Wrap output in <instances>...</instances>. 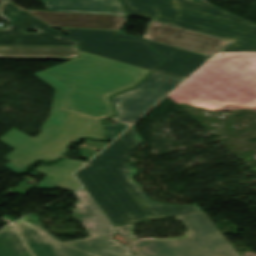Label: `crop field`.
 <instances>
[{"instance_id":"8a807250","label":"crop field","mask_w":256,"mask_h":256,"mask_svg":"<svg viewBox=\"0 0 256 256\" xmlns=\"http://www.w3.org/2000/svg\"><path fill=\"white\" fill-rule=\"evenodd\" d=\"M143 143L129 128L75 175L114 226L201 211L197 205L173 206L149 199L133 178L138 173L126 163L130 152Z\"/></svg>"},{"instance_id":"cbeb9de0","label":"crop field","mask_w":256,"mask_h":256,"mask_svg":"<svg viewBox=\"0 0 256 256\" xmlns=\"http://www.w3.org/2000/svg\"><path fill=\"white\" fill-rule=\"evenodd\" d=\"M78 47L0 46V58L14 59H73Z\"/></svg>"},{"instance_id":"f4fd0767","label":"crop field","mask_w":256,"mask_h":256,"mask_svg":"<svg viewBox=\"0 0 256 256\" xmlns=\"http://www.w3.org/2000/svg\"><path fill=\"white\" fill-rule=\"evenodd\" d=\"M79 202L72 215L84 226L90 237L60 242L46 231L36 214L17 223L19 230L35 256H133L127 244H120L112 236L116 229L92 199L86 189L75 193Z\"/></svg>"},{"instance_id":"bc2a9ffb","label":"crop field","mask_w":256,"mask_h":256,"mask_svg":"<svg viewBox=\"0 0 256 256\" xmlns=\"http://www.w3.org/2000/svg\"><path fill=\"white\" fill-rule=\"evenodd\" d=\"M90 145H94L96 147L94 149H87V147L90 146ZM106 145H107L106 142L105 143H98V142L88 141V140L84 141L83 144L78 147L83 152L81 158H83V159H90L93 155H95L97 153L94 150L102 149ZM83 147H86V148L83 149Z\"/></svg>"},{"instance_id":"22f410ed","label":"crop field","mask_w":256,"mask_h":256,"mask_svg":"<svg viewBox=\"0 0 256 256\" xmlns=\"http://www.w3.org/2000/svg\"><path fill=\"white\" fill-rule=\"evenodd\" d=\"M60 27L119 30L126 17L48 11Z\"/></svg>"},{"instance_id":"214f88e0","label":"crop field","mask_w":256,"mask_h":256,"mask_svg":"<svg viewBox=\"0 0 256 256\" xmlns=\"http://www.w3.org/2000/svg\"><path fill=\"white\" fill-rule=\"evenodd\" d=\"M51 26L59 27L47 11H28Z\"/></svg>"},{"instance_id":"5142ce71","label":"crop field","mask_w":256,"mask_h":256,"mask_svg":"<svg viewBox=\"0 0 256 256\" xmlns=\"http://www.w3.org/2000/svg\"><path fill=\"white\" fill-rule=\"evenodd\" d=\"M82 164L84 162L63 160L52 167L38 166L35 169L47 176L35 188L52 189L58 187L66 190H77L81 188V185L72 176V173Z\"/></svg>"},{"instance_id":"412701ff","label":"crop field","mask_w":256,"mask_h":256,"mask_svg":"<svg viewBox=\"0 0 256 256\" xmlns=\"http://www.w3.org/2000/svg\"><path fill=\"white\" fill-rule=\"evenodd\" d=\"M80 57L45 69L71 87L67 107L108 117V97L139 83L150 70L80 52Z\"/></svg>"},{"instance_id":"d8731c3e","label":"crop field","mask_w":256,"mask_h":256,"mask_svg":"<svg viewBox=\"0 0 256 256\" xmlns=\"http://www.w3.org/2000/svg\"><path fill=\"white\" fill-rule=\"evenodd\" d=\"M61 30L66 36L78 41L80 51L150 70L163 60L145 44L112 40V37L117 32L72 29Z\"/></svg>"},{"instance_id":"733c2abd","label":"crop field","mask_w":256,"mask_h":256,"mask_svg":"<svg viewBox=\"0 0 256 256\" xmlns=\"http://www.w3.org/2000/svg\"><path fill=\"white\" fill-rule=\"evenodd\" d=\"M0 256H32L12 225L0 232Z\"/></svg>"},{"instance_id":"34b2d1b8","label":"crop field","mask_w":256,"mask_h":256,"mask_svg":"<svg viewBox=\"0 0 256 256\" xmlns=\"http://www.w3.org/2000/svg\"><path fill=\"white\" fill-rule=\"evenodd\" d=\"M34 75L55 89L51 115L35 139L15 129L0 139L15 150L5 158L12 172L22 171L37 159L50 162L62 157L81 137L104 140L102 118L66 108L70 87L46 71Z\"/></svg>"},{"instance_id":"ac0d7876","label":"crop field","mask_w":256,"mask_h":256,"mask_svg":"<svg viewBox=\"0 0 256 256\" xmlns=\"http://www.w3.org/2000/svg\"><path fill=\"white\" fill-rule=\"evenodd\" d=\"M169 98L207 109L225 105L255 107L256 25L233 40Z\"/></svg>"},{"instance_id":"3316defc","label":"crop field","mask_w":256,"mask_h":256,"mask_svg":"<svg viewBox=\"0 0 256 256\" xmlns=\"http://www.w3.org/2000/svg\"><path fill=\"white\" fill-rule=\"evenodd\" d=\"M145 39L212 57L228 41L151 21Z\"/></svg>"},{"instance_id":"5a996713","label":"crop field","mask_w":256,"mask_h":256,"mask_svg":"<svg viewBox=\"0 0 256 256\" xmlns=\"http://www.w3.org/2000/svg\"><path fill=\"white\" fill-rule=\"evenodd\" d=\"M0 17L11 23L7 31H0V45L78 46L77 42L46 26L6 0L0 7ZM31 27L44 34L23 33L22 30Z\"/></svg>"},{"instance_id":"d1516ede","label":"crop field","mask_w":256,"mask_h":256,"mask_svg":"<svg viewBox=\"0 0 256 256\" xmlns=\"http://www.w3.org/2000/svg\"><path fill=\"white\" fill-rule=\"evenodd\" d=\"M115 39L147 42L167 60L156 70V72L180 77L183 79H185L189 74H191L195 69L203 64L207 59H209V57L201 56L122 33L117 35Z\"/></svg>"},{"instance_id":"28ad6ade","label":"crop field","mask_w":256,"mask_h":256,"mask_svg":"<svg viewBox=\"0 0 256 256\" xmlns=\"http://www.w3.org/2000/svg\"><path fill=\"white\" fill-rule=\"evenodd\" d=\"M169 91L141 83L137 88L112 98L117 116L110 118L131 124Z\"/></svg>"},{"instance_id":"e52e79f7","label":"crop field","mask_w":256,"mask_h":256,"mask_svg":"<svg viewBox=\"0 0 256 256\" xmlns=\"http://www.w3.org/2000/svg\"><path fill=\"white\" fill-rule=\"evenodd\" d=\"M190 230L187 238L171 241H134L131 224L115 227L138 256H239L203 212L176 216Z\"/></svg>"},{"instance_id":"92a150f3","label":"crop field","mask_w":256,"mask_h":256,"mask_svg":"<svg viewBox=\"0 0 256 256\" xmlns=\"http://www.w3.org/2000/svg\"><path fill=\"white\" fill-rule=\"evenodd\" d=\"M127 125L120 124L118 126L109 125L107 126V132H108V140H112L115 138L119 133H121L125 128H127Z\"/></svg>"},{"instance_id":"dd49c442","label":"crop field","mask_w":256,"mask_h":256,"mask_svg":"<svg viewBox=\"0 0 256 256\" xmlns=\"http://www.w3.org/2000/svg\"><path fill=\"white\" fill-rule=\"evenodd\" d=\"M130 15L232 41L252 24L192 0H122Z\"/></svg>"},{"instance_id":"dafd665d","label":"crop field","mask_w":256,"mask_h":256,"mask_svg":"<svg viewBox=\"0 0 256 256\" xmlns=\"http://www.w3.org/2000/svg\"><path fill=\"white\" fill-rule=\"evenodd\" d=\"M9 1H12V0H9Z\"/></svg>"},{"instance_id":"d9b57169","label":"crop field","mask_w":256,"mask_h":256,"mask_svg":"<svg viewBox=\"0 0 256 256\" xmlns=\"http://www.w3.org/2000/svg\"><path fill=\"white\" fill-rule=\"evenodd\" d=\"M48 10L126 15L119 0H42Z\"/></svg>"},{"instance_id":"4a817a6b","label":"crop field","mask_w":256,"mask_h":256,"mask_svg":"<svg viewBox=\"0 0 256 256\" xmlns=\"http://www.w3.org/2000/svg\"><path fill=\"white\" fill-rule=\"evenodd\" d=\"M182 81L183 79L154 72L143 83L171 91Z\"/></svg>"}]
</instances>
